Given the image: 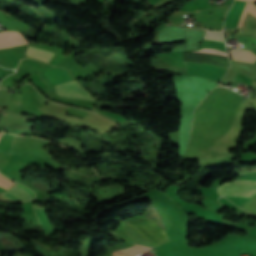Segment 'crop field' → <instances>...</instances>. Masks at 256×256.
I'll use <instances>...</instances> for the list:
<instances>
[{"label":"crop field","instance_id":"obj_1","mask_svg":"<svg viewBox=\"0 0 256 256\" xmlns=\"http://www.w3.org/2000/svg\"><path fill=\"white\" fill-rule=\"evenodd\" d=\"M218 192L224 196L250 197L256 192V182L247 180H236L226 183L218 188Z\"/></svg>","mask_w":256,"mask_h":256},{"label":"crop field","instance_id":"obj_2","mask_svg":"<svg viewBox=\"0 0 256 256\" xmlns=\"http://www.w3.org/2000/svg\"><path fill=\"white\" fill-rule=\"evenodd\" d=\"M57 95L70 98H79L84 100H96L92 98L87 90H85L77 80L54 86Z\"/></svg>","mask_w":256,"mask_h":256},{"label":"crop field","instance_id":"obj_3","mask_svg":"<svg viewBox=\"0 0 256 256\" xmlns=\"http://www.w3.org/2000/svg\"><path fill=\"white\" fill-rule=\"evenodd\" d=\"M189 52L190 53H209L213 55L228 57L227 53L210 49V48H203L198 51H189ZM184 66L186 68V71H201V72L209 73L213 76L220 77V78H222V76L226 72V69H222L214 66H205V65L193 64V63H184Z\"/></svg>","mask_w":256,"mask_h":256},{"label":"crop field","instance_id":"obj_4","mask_svg":"<svg viewBox=\"0 0 256 256\" xmlns=\"http://www.w3.org/2000/svg\"><path fill=\"white\" fill-rule=\"evenodd\" d=\"M27 44L28 42L19 31H7L0 33V49L13 48Z\"/></svg>","mask_w":256,"mask_h":256},{"label":"crop field","instance_id":"obj_5","mask_svg":"<svg viewBox=\"0 0 256 256\" xmlns=\"http://www.w3.org/2000/svg\"><path fill=\"white\" fill-rule=\"evenodd\" d=\"M14 201H24L32 200L34 198L33 191L19 185L15 184L12 188L1 194Z\"/></svg>","mask_w":256,"mask_h":256},{"label":"crop field","instance_id":"obj_6","mask_svg":"<svg viewBox=\"0 0 256 256\" xmlns=\"http://www.w3.org/2000/svg\"><path fill=\"white\" fill-rule=\"evenodd\" d=\"M151 249H152L151 247H146V246H141V245L135 244L134 246H131L129 248L114 251L113 255L114 256H134L135 254L147 252Z\"/></svg>","mask_w":256,"mask_h":256},{"label":"crop field","instance_id":"obj_7","mask_svg":"<svg viewBox=\"0 0 256 256\" xmlns=\"http://www.w3.org/2000/svg\"><path fill=\"white\" fill-rule=\"evenodd\" d=\"M230 54L233 60L247 61L251 63H254L256 60V55L249 50L230 49Z\"/></svg>","mask_w":256,"mask_h":256},{"label":"crop field","instance_id":"obj_8","mask_svg":"<svg viewBox=\"0 0 256 256\" xmlns=\"http://www.w3.org/2000/svg\"><path fill=\"white\" fill-rule=\"evenodd\" d=\"M34 210L46 234L53 232L55 229L53 228V226L51 225L50 221L48 220L45 214L47 208L35 206Z\"/></svg>","mask_w":256,"mask_h":256},{"label":"crop field","instance_id":"obj_9","mask_svg":"<svg viewBox=\"0 0 256 256\" xmlns=\"http://www.w3.org/2000/svg\"><path fill=\"white\" fill-rule=\"evenodd\" d=\"M26 55L34 56L40 60L49 62L50 59L53 57L54 53L46 51L44 49L29 46L26 51Z\"/></svg>","mask_w":256,"mask_h":256},{"label":"crop field","instance_id":"obj_10","mask_svg":"<svg viewBox=\"0 0 256 256\" xmlns=\"http://www.w3.org/2000/svg\"><path fill=\"white\" fill-rule=\"evenodd\" d=\"M204 39L224 42L222 32L206 31Z\"/></svg>","mask_w":256,"mask_h":256},{"label":"crop field","instance_id":"obj_11","mask_svg":"<svg viewBox=\"0 0 256 256\" xmlns=\"http://www.w3.org/2000/svg\"><path fill=\"white\" fill-rule=\"evenodd\" d=\"M242 207L256 214V195L245 202Z\"/></svg>","mask_w":256,"mask_h":256},{"label":"crop field","instance_id":"obj_12","mask_svg":"<svg viewBox=\"0 0 256 256\" xmlns=\"http://www.w3.org/2000/svg\"><path fill=\"white\" fill-rule=\"evenodd\" d=\"M251 12L253 15H255L256 16V7H254L252 4H250V3H247V6H246V10H245V13H244V16H243V19H242V23H241V26H242V24H243V20H244V17H245V15H246V13L247 12ZM248 14V13H247ZM247 16V15H246ZM240 26V27H241Z\"/></svg>","mask_w":256,"mask_h":256},{"label":"crop field","instance_id":"obj_13","mask_svg":"<svg viewBox=\"0 0 256 256\" xmlns=\"http://www.w3.org/2000/svg\"><path fill=\"white\" fill-rule=\"evenodd\" d=\"M13 183L9 182L8 180L4 179L3 177L0 176V186L7 189L10 187Z\"/></svg>","mask_w":256,"mask_h":256},{"label":"crop field","instance_id":"obj_14","mask_svg":"<svg viewBox=\"0 0 256 256\" xmlns=\"http://www.w3.org/2000/svg\"><path fill=\"white\" fill-rule=\"evenodd\" d=\"M248 1H256V0H248Z\"/></svg>","mask_w":256,"mask_h":256}]
</instances>
